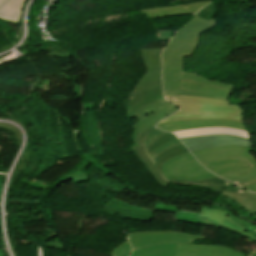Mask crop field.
Returning a JSON list of instances; mask_svg holds the SVG:
<instances>
[{
  "label": "crop field",
  "mask_w": 256,
  "mask_h": 256,
  "mask_svg": "<svg viewBox=\"0 0 256 256\" xmlns=\"http://www.w3.org/2000/svg\"><path fill=\"white\" fill-rule=\"evenodd\" d=\"M215 26V20L210 21L194 17L191 21L178 29L172 41L167 46L162 54L163 61V90L164 94H178L186 96H201L212 97L218 99L228 100L224 97L214 96L206 93L180 90V79L206 82L214 85H219L234 89V86L223 83H218L210 80H205L197 75L184 73L183 64L184 56L190 57L192 52L197 48L199 33Z\"/></svg>",
  "instance_id": "1"
},
{
  "label": "crop field",
  "mask_w": 256,
  "mask_h": 256,
  "mask_svg": "<svg viewBox=\"0 0 256 256\" xmlns=\"http://www.w3.org/2000/svg\"><path fill=\"white\" fill-rule=\"evenodd\" d=\"M155 124V123H154ZM154 124L150 125L146 129H144L138 139L139 146H132L130 147V150L134 153V155L139 159V161L145 166V168L151 173V175L157 180V182L164 187H167L170 183L168 180H166L163 177L161 166L162 164L168 160L169 158L173 156H177L180 154H183L185 152H188L186 147L181 144L176 147L170 148L166 151H163L161 154H159L154 161H152L149 157V155L160 145L163 143L175 138L173 134H166L162 137H160L158 140H156L153 144H151L148 153L145 152L142 144L143 139L147 135L151 129H154ZM137 159V160H138ZM143 166V167H144ZM149 173V174H150ZM172 183H182V184H196V185H206L210 188L216 189L218 191H221L223 189H226L231 186H236L230 182H227L219 177L202 180V181H184V180H177L174 179Z\"/></svg>",
  "instance_id": "2"
},
{
  "label": "crop field",
  "mask_w": 256,
  "mask_h": 256,
  "mask_svg": "<svg viewBox=\"0 0 256 256\" xmlns=\"http://www.w3.org/2000/svg\"><path fill=\"white\" fill-rule=\"evenodd\" d=\"M164 97L177 104L180 110L161 122L186 119L226 118L235 119L243 123L242 109L239 106L229 104L228 101L177 95H164Z\"/></svg>",
  "instance_id": "3"
},
{
  "label": "crop field",
  "mask_w": 256,
  "mask_h": 256,
  "mask_svg": "<svg viewBox=\"0 0 256 256\" xmlns=\"http://www.w3.org/2000/svg\"><path fill=\"white\" fill-rule=\"evenodd\" d=\"M163 48L141 50L142 58L146 65V73L132 91L127 105L129 117L136 109L154 101L165 100L161 91V61L160 54Z\"/></svg>",
  "instance_id": "4"
},
{
  "label": "crop field",
  "mask_w": 256,
  "mask_h": 256,
  "mask_svg": "<svg viewBox=\"0 0 256 256\" xmlns=\"http://www.w3.org/2000/svg\"><path fill=\"white\" fill-rule=\"evenodd\" d=\"M251 149L243 146H222L193 152L192 154L201 164L224 158H242L248 161L251 166L220 176L240 184L250 179V176L256 175V159L249 154Z\"/></svg>",
  "instance_id": "5"
},
{
  "label": "crop field",
  "mask_w": 256,
  "mask_h": 256,
  "mask_svg": "<svg viewBox=\"0 0 256 256\" xmlns=\"http://www.w3.org/2000/svg\"><path fill=\"white\" fill-rule=\"evenodd\" d=\"M162 169L164 177L169 181L173 178L201 180L215 177L202 167L190 152L169 159L163 164Z\"/></svg>",
  "instance_id": "6"
},
{
  "label": "crop field",
  "mask_w": 256,
  "mask_h": 256,
  "mask_svg": "<svg viewBox=\"0 0 256 256\" xmlns=\"http://www.w3.org/2000/svg\"><path fill=\"white\" fill-rule=\"evenodd\" d=\"M204 237L179 232H136L130 233L129 239L134 250L165 243H193Z\"/></svg>",
  "instance_id": "7"
},
{
  "label": "crop field",
  "mask_w": 256,
  "mask_h": 256,
  "mask_svg": "<svg viewBox=\"0 0 256 256\" xmlns=\"http://www.w3.org/2000/svg\"><path fill=\"white\" fill-rule=\"evenodd\" d=\"M178 107L167 101L154 102L143 106L136 110L129 118L137 117L140 120L134 124L132 127L134 129L133 132V140L134 145L137 144L138 134L147 126L152 124L153 122H158L159 120L165 118V115H169L176 111Z\"/></svg>",
  "instance_id": "8"
},
{
  "label": "crop field",
  "mask_w": 256,
  "mask_h": 256,
  "mask_svg": "<svg viewBox=\"0 0 256 256\" xmlns=\"http://www.w3.org/2000/svg\"><path fill=\"white\" fill-rule=\"evenodd\" d=\"M192 151L221 145H243L252 147V141L235 135H214L180 139Z\"/></svg>",
  "instance_id": "9"
},
{
  "label": "crop field",
  "mask_w": 256,
  "mask_h": 256,
  "mask_svg": "<svg viewBox=\"0 0 256 256\" xmlns=\"http://www.w3.org/2000/svg\"><path fill=\"white\" fill-rule=\"evenodd\" d=\"M199 223L216 227H222L224 229L244 235L256 242L255 235L240 227L237 223H235L233 220L229 218L226 212L222 210L201 209Z\"/></svg>",
  "instance_id": "10"
},
{
  "label": "crop field",
  "mask_w": 256,
  "mask_h": 256,
  "mask_svg": "<svg viewBox=\"0 0 256 256\" xmlns=\"http://www.w3.org/2000/svg\"><path fill=\"white\" fill-rule=\"evenodd\" d=\"M213 126L234 127L246 130L243 124L235 120L226 119L173 121L157 124L156 127L162 130L173 132L181 129L204 128Z\"/></svg>",
  "instance_id": "11"
},
{
  "label": "crop field",
  "mask_w": 256,
  "mask_h": 256,
  "mask_svg": "<svg viewBox=\"0 0 256 256\" xmlns=\"http://www.w3.org/2000/svg\"><path fill=\"white\" fill-rule=\"evenodd\" d=\"M174 256H246L241 252L220 246L177 244Z\"/></svg>",
  "instance_id": "12"
},
{
  "label": "crop field",
  "mask_w": 256,
  "mask_h": 256,
  "mask_svg": "<svg viewBox=\"0 0 256 256\" xmlns=\"http://www.w3.org/2000/svg\"><path fill=\"white\" fill-rule=\"evenodd\" d=\"M210 2L195 3L186 6H176V7H161V8H151L146 10H141L142 13L146 15L147 18L169 16V15H184V14H195L202 7Z\"/></svg>",
  "instance_id": "13"
},
{
  "label": "crop field",
  "mask_w": 256,
  "mask_h": 256,
  "mask_svg": "<svg viewBox=\"0 0 256 256\" xmlns=\"http://www.w3.org/2000/svg\"><path fill=\"white\" fill-rule=\"evenodd\" d=\"M225 195L235 201L239 206L249 212L256 218V194L246 190L239 191L235 187L221 191Z\"/></svg>",
  "instance_id": "14"
},
{
  "label": "crop field",
  "mask_w": 256,
  "mask_h": 256,
  "mask_svg": "<svg viewBox=\"0 0 256 256\" xmlns=\"http://www.w3.org/2000/svg\"><path fill=\"white\" fill-rule=\"evenodd\" d=\"M173 133H175L178 138L213 135V134H235V135L249 138V135L246 131L237 130V129H233V128H221V127L181 130V131H177V132H173Z\"/></svg>",
  "instance_id": "15"
},
{
  "label": "crop field",
  "mask_w": 256,
  "mask_h": 256,
  "mask_svg": "<svg viewBox=\"0 0 256 256\" xmlns=\"http://www.w3.org/2000/svg\"><path fill=\"white\" fill-rule=\"evenodd\" d=\"M203 166L212 173L220 176L229 171H234L236 169L249 166V163L241 159H224L203 164Z\"/></svg>",
  "instance_id": "16"
},
{
  "label": "crop field",
  "mask_w": 256,
  "mask_h": 256,
  "mask_svg": "<svg viewBox=\"0 0 256 256\" xmlns=\"http://www.w3.org/2000/svg\"><path fill=\"white\" fill-rule=\"evenodd\" d=\"M181 89L195 90L201 92H207L219 96L228 97L233 93V90L198 82H189L181 80Z\"/></svg>",
  "instance_id": "17"
},
{
  "label": "crop field",
  "mask_w": 256,
  "mask_h": 256,
  "mask_svg": "<svg viewBox=\"0 0 256 256\" xmlns=\"http://www.w3.org/2000/svg\"><path fill=\"white\" fill-rule=\"evenodd\" d=\"M24 0H9L0 7V20L17 23Z\"/></svg>",
  "instance_id": "18"
},
{
  "label": "crop field",
  "mask_w": 256,
  "mask_h": 256,
  "mask_svg": "<svg viewBox=\"0 0 256 256\" xmlns=\"http://www.w3.org/2000/svg\"><path fill=\"white\" fill-rule=\"evenodd\" d=\"M176 244L153 246L147 249L135 251L131 256H173Z\"/></svg>",
  "instance_id": "19"
},
{
  "label": "crop field",
  "mask_w": 256,
  "mask_h": 256,
  "mask_svg": "<svg viewBox=\"0 0 256 256\" xmlns=\"http://www.w3.org/2000/svg\"><path fill=\"white\" fill-rule=\"evenodd\" d=\"M131 252V247L128 239L110 252L111 256H129Z\"/></svg>",
  "instance_id": "20"
},
{
  "label": "crop field",
  "mask_w": 256,
  "mask_h": 256,
  "mask_svg": "<svg viewBox=\"0 0 256 256\" xmlns=\"http://www.w3.org/2000/svg\"><path fill=\"white\" fill-rule=\"evenodd\" d=\"M215 11H216V8L212 3L208 4L207 6H205L204 8H202L197 14L196 16H199V17H202L204 19H211L212 16L215 15Z\"/></svg>",
  "instance_id": "21"
},
{
  "label": "crop field",
  "mask_w": 256,
  "mask_h": 256,
  "mask_svg": "<svg viewBox=\"0 0 256 256\" xmlns=\"http://www.w3.org/2000/svg\"><path fill=\"white\" fill-rule=\"evenodd\" d=\"M167 132L160 131V130H152L148 133V135L144 139L143 146L145 147L146 151L148 150L149 145L154 142L157 138H159L161 135L165 134Z\"/></svg>",
  "instance_id": "22"
},
{
  "label": "crop field",
  "mask_w": 256,
  "mask_h": 256,
  "mask_svg": "<svg viewBox=\"0 0 256 256\" xmlns=\"http://www.w3.org/2000/svg\"><path fill=\"white\" fill-rule=\"evenodd\" d=\"M178 144H181V142L179 141L178 138H175L167 143H165L164 145H162L161 147H159L158 149H156L151 155L150 157L152 158V160L160 153L162 152L163 150L165 149H168L172 146H175V145H178Z\"/></svg>",
  "instance_id": "23"
},
{
  "label": "crop field",
  "mask_w": 256,
  "mask_h": 256,
  "mask_svg": "<svg viewBox=\"0 0 256 256\" xmlns=\"http://www.w3.org/2000/svg\"><path fill=\"white\" fill-rule=\"evenodd\" d=\"M175 31L172 30H158V33L162 40H168L174 34Z\"/></svg>",
  "instance_id": "24"
},
{
  "label": "crop field",
  "mask_w": 256,
  "mask_h": 256,
  "mask_svg": "<svg viewBox=\"0 0 256 256\" xmlns=\"http://www.w3.org/2000/svg\"><path fill=\"white\" fill-rule=\"evenodd\" d=\"M252 183H256V176L252 177L251 180H249V181H247V182H245V183H243V184H241L239 186L244 187V186L252 184Z\"/></svg>",
  "instance_id": "25"
},
{
  "label": "crop field",
  "mask_w": 256,
  "mask_h": 256,
  "mask_svg": "<svg viewBox=\"0 0 256 256\" xmlns=\"http://www.w3.org/2000/svg\"><path fill=\"white\" fill-rule=\"evenodd\" d=\"M245 189L252 191V192H256V184L249 185V186L245 187Z\"/></svg>",
  "instance_id": "26"
},
{
  "label": "crop field",
  "mask_w": 256,
  "mask_h": 256,
  "mask_svg": "<svg viewBox=\"0 0 256 256\" xmlns=\"http://www.w3.org/2000/svg\"><path fill=\"white\" fill-rule=\"evenodd\" d=\"M6 0H0V5H2Z\"/></svg>",
  "instance_id": "27"
},
{
  "label": "crop field",
  "mask_w": 256,
  "mask_h": 256,
  "mask_svg": "<svg viewBox=\"0 0 256 256\" xmlns=\"http://www.w3.org/2000/svg\"><path fill=\"white\" fill-rule=\"evenodd\" d=\"M0 193H1V179H0Z\"/></svg>",
  "instance_id": "28"
},
{
  "label": "crop field",
  "mask_w": 256,
  "mask_h": 256,
  "mask_svg": "<svg viewBox=\"0 0 256 256\" xmlns=\"http://www.w3.org/2000/svg\"><path fill=\"white\" fill-rule=\"evenodd\" d=\"M0 256H3L2 253H1V251H0Z\"/></svg>",
  "instance_id": "29"
}]
</instances>
